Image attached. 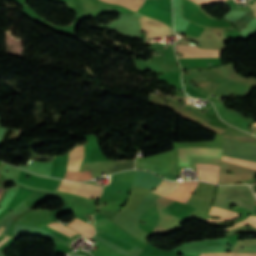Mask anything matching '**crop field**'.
Returning a JSON list of instances; mask_svg holds the SVG:
<instances>
[{
  "label": "crop field",
  "instance_id": "8a807250",
  "mask_svg": "<svg viewBox=\"0 0 256 256\" xmlns=\"http://www.w3.org/2000/svg\"><path fill=\"white\" fill-rule=\"evenodd\" d=\"M63 183H69L73 184L71 181H65L62 180ZM59 190L77 194V195H82V196H87V197H92V198H98L101 194L102 187L93 185V184H85V183H76L74 182L73 185H68V184H60Z\"/></svg>",
  "mask_w": 256,
  "mask_h": 256
},
{
  "label": "crop field",
  "instance_id": "ac0d7876",
  "mask_svg": "<svg viewBox=\"0 0 256 256\" xmlns=\"http://www.w3.org/2000/svg\"><path fill=\"white\" fill-rule=\"evenodd\" d=\"M141 29L148 31L146 38H160L166 36L167 25L145 16L139 18ZM175 35L173 30L168 27L167 36Z\"/></svg>",
  "mask_w": 256,
  "mask_h": 256
},
{
  "label": "crop field",
  "instance_id": "34b2d1b8",
  "mask_svg": "<svg viewBox=\"0 0 256 256\" xmlns=\"http://www.w3.org/2000/svg\"><path fill=\"white\" fill-rule=\"evenodd\" d=\"M223 149L190 148V156H221ZM179 166L188 167L189 148H178Z\"/></svg>",
  "mask_w": 256,
  "mask_h": 256
},
{
  "label": "crop field",
  "instance_id": "412701ff",
  "mask_svg": "<svg viewBox=\"0 0 256 256\" xmlns=\"http://www.w3.org/2000/svg\"><path fill=\"white\" fill-rule=\"evenodd\" d=\"M177 52H181L183 56H200V55H219L221 50H208L202 49L197 46L193 45H183V44H176ZM178 58H188V57H180L178 53ZM201 57H209V56H201Z\"/></svg>",
  "mask_w": 256,
  "mask_h": 256
},
{
  "label": "crop field",
  "instance_id": "f4fd0767",
  "mask_svg": "<svg viewBox=\"0 0 256 256\" xmlns=\"http://www.w3.org/2000/svg\"><path fill=\"white\" fill-rule=\"evenodd\" d=\"M84 145L75 147L69 152L67 171H78L80 161L84 158Z\"/></svg>",
  "mask_w": 256,
  "mask_h": 256
},
{
  "label": "crop field",
  "instance_id": "dd49c442",
  "mask_svg": "<svg viewBox=\"0 0 256 256\" xmlns=\"http://www.w3.org/2000/svg\"><path fill=\"white\" fill-rule=\"evenodd\" d=\"M49 226L55 228L56 230L62 232L63 234H65V235H67L69 237H72L73 235H77L78 234V233H75L74 231H72L71 229L66 228V227H64V226H62V225H60V224H58L56 222H53V223L49 224ZM49 226L46 225V226L43 227V229H45V230L55 234L56 236L64 239L65 241L68 240V239H71V238L63 235L62 233L56 231L55 229H53V228H51Z\"/></svg>",
  "mask_w": 256,
  "mask_h": 256
},
{
  "label": "crop field",
  "instance_id": "e52e79f7",
  "mask_svg": "<svg viewBox=\"0 0 256 256\" xmlns=\"http://www.w3.org/2000/svg\"><path fill=\"white\" fill-rule=\"evenodd\" d=\"M209 214H213V215H219L222 216V219L220 220H212V219H208L207 222H213V221H228L230 219H233L235 217H237V215H239L238 213H234L228 210H224V209H220V208H216V207H211Z\"/></svg>",
  "mask_w": 256,
  "mask_h": 256
},
{
  "label": "crop field",
  "instance_id": "d8731c3e",
  "mask_svg": "<svg viewBox=\"0 0 256 256\" xmlns=\"http://www.w3.org/2000/svg\"><path fill=\"white\" fill-rule=\"evenodd\" d=\"M108 3L122 4L130 9L138 10L145 0H103Z\"/></svg>",
  "mask_w": 256,
  "mask_h": 256
},
{
  "label": "crop field",
  "instance_id": "5a996713",
  "mask_svg": "<svg viewBox=\"0 0 256 256\" xmlns=\"http://www.w3.org/2000/svg\"><path fill=\"white\" fill-rule=\"evenodd\" d=\"M179 182H167L165 180L156 188L157 190L152 191L162 196L172 191Z\"/></svg>",
  "mask_w": 256,
  "mask_h": 256
},
{
  "label": "crop field",
  "instance_id": "3316defc",
  "mask_svg": "<svg viewBox=\"0 0 256 256\" xmlns=\"http://www.w3.org/2000/svg\"><path fill=\"white\" fill-rule=\"evenodd\" d=\"M222 160L256 170V163L255 162L242 160V159H238V158H233V157H229V156H225V155H223Z\"/></svg>",
  "mask_w": 256,
  "mask_h": 256
},
{
  "label": "crop field",
  "instance_id": "28ad6ade",
  "mask_svg": "<svg viewBox=\"0 0 256 256\" xmlns=\"http://www.w3.org/2000/svg\"><path fill=\"white\" fill-rule=\"evenodd\" d=\"M200 256H256V253H201Z\"/></svg>",
  "mask_w": 256,
  "mask_h": 256
},
{
  "label": "crop field",
  "instance_id": "d1516ede",
  "mask_svg": "<svg viewBox=\"0 0 256 256\" xmlns=\"http://www.w3.org/2000/svg\"><path fill=\"white\" fill-rule=\"evenodd\" d=\"M196 3L190 0H181V13L182 18L187 14V12L195 5Z\"/></svg>",
  "mask_w": 256,
  "mask_h": 256
},
{
  "label": "crop field",
  "instance_id": "22f410ed",
  "mask_svg": "<svg viewBox=\"0 0 256 256\" xmlns=\"http://www.w3.org/2000/svg\"><path fill=\"white\" fill-rule=\"evenodd\" d=\"M251 216V215H250ZM250 216L248 217V218H250ZM247 218V219H248ZM245 219V220H243V221H240V222H238V223H235L234 224V226H232V227H230V228H226V231H228V230H231V229H234V228H237V227H239V226H242V225H245V224H248V223H251L255 228H256V217H253V216H251V218L250 219Z\"/></svg>",
  "mask_w": 256,
  "mask_h": 256
},
{
  "label": "crop field",
  "instance_id": "cbeb9de0",
  "mask_svg": "<svg viewBox=\"0 0 256 256\" xmlns=\"http://www.w3.org/2000/svg\"><path fill=\"white\" fill-rule=\"evenodd\" d=\"M142 249H139L137 247L130 250L125 256H138L141 253Z\"/></svg>",
  "mask_w": 256,
  "mask_h": 256
},
{
  "label": "crop field",
  "instance_id": "5142ce71",
  "mask_svg": "<svg viewBox=\"0 0 256 256\" xmlns=\"http://www.w3.org/2000/svg\"><path fill=\"white\" fill-rule=\"evenodd\" d=\"M196 170H205V171H215V172H219V169H205V168H198V167H196Z\"/></svg>",
  "mask_w": 256,
  "mask_h": 256
},
{
  "label": "crop field",
  "instance_id": "d9b57169",
  "mask_svg": "<svg viewBox=\"0 0 256 256\" xmlns=\"http://www.w3.org/2000/svg\"><path fill=\"white\" fill-rule=\"evenodd\" d=\"M9 240V237H5L2 241H0V246H2L4 243H6Z\"/></svg>",
  "mask_w": 256,
  "mask_h": 256
},
{
  "label": "crop field",
  "instance_id": "733c2abd",
  "mask_svg": "<svg viewBox=\"0 0 256 256\" xmlns=\"http://www.w3.org/2000/svg\"><path fill=\"white\" fill-rule=\"evenodd\" d=\"M251 7H252L254 13L256 14V5H253V6H251Z\"/></svg>",
  "mask_w": 256,
  "mask_h": 256
},
{
  "label": "crop field",
  "instance_id": "4a817a6b",
  "mask_svg": "<svg viewBox=\"0 0 256 256\" xmlns=\"http://www.w3.org/2000/svg\"><path fill=\"white\" fill-rule=\"evenodd\" d=\"M2 192H3V189H0V196H1Z\"/></svg>",
  "mask_w": 256,
  "mask_h": 256
},
{
  "label": "crop field",
  "instance_id": "bc2a9ffb",
  "mask_svg": "<svg viewBox=\"0 0 256 256\" xmlns=\"http://www.w3.org/2000/svg\"><path fill=\"white\" fill-rule=\"evenodd\" d=\"M2 230H3V228H2V227H0V233L2 232Z\"/></svg>",
  "mask_w": 256,
  "mask_h": 256
}]
</instances>
